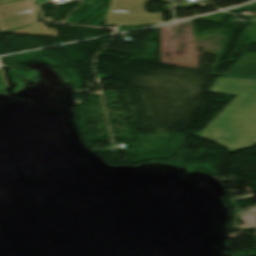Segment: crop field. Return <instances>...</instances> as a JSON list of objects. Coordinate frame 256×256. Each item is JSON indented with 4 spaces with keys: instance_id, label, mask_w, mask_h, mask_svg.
Segmentation results:
<instances>
[{
    "instance_id": "obj_2",
    "label": "crop field",
    "mask_w": 256,
    "mask_h": 256,
    "mask_svg": "<svg viewBox=\"0 0 256 256\" xmlns=\"http://www.w3.org/2000/svg\"><path fill=\"white\" fill-rule=\"evenodd\" d=\"M150 0H112L105 24L142 25L161 23L159 14L144 12V3Z\"/></svg>"
},
{
    "instance_id": "obj_3",
    "label": "crop field",
    "mask_w": 256,
    "mask_h": 256,
    "mask_svg": "<svg viewBox=\"0 0 256 256\" xmlns=\"http://www.w3.org/2000/svg\"><path fill=\"white\" fill-rule=\"evenodd\" d=\"M37 21V9L31 0L0 5V32L24 27Z\"/></svg>"
},
{
    "instance_id": "obj_4",
    "label": "crop field",
    "mask_w": 256,
    "mask_h": 256,
    "mask_svg": "<svg viewBox=\"0 0 256 256\" xmlns=\"http://www.w3.org/2000/svg\"><path fill=\"white\" fill-rule=\"evenodd\" d=\"M10 33L59 37L55 28H47L43 23H38L36 25Z\"/></svg>"
},
{
    "instance_id": "obj_1",
    "label": "crop field",
    "mask_w": 256,
    "mask_h": 256,
    "mask_svg": "<svg viewBox=\"0 0 256 256\" xmlns=\"http://www.w3.org/2000/svg\"><path fill=\"white\" fill-rule=\"evenodd\" d=\"M208 92L239 96L201 132V137L229 151L256 144V81L218 78Z\"/></svg>"
}]
</instances>
